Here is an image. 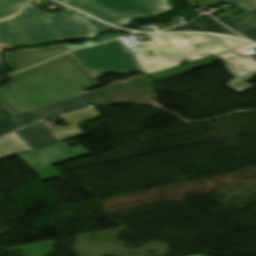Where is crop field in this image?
<instances>
[{"mask_svg":"<svg viewBox=\"0 0 256 256\" xmlns=\"http://www.w3.org/2000/svg\"><path fill=\"white\" fill-rule=\"evenodd\" d=\"M219 59L225 61L228 64V66L226 65L227 68L237 78L235 80L228 82L230 84L227 86H229L230 88L238 92H241L245 89L252 87V85L244 81L256 75V61L233 50H230L212 57L193 61V62L184 64L178 67H174L171 69H167L158 73H154L149 76L160 81L163 79L180 75L183 72L188 71L192 68L202 66Z\"/></svg>","mask_w":256,"mask_h":256,"instance_id":"obj_6","label":"crop field"},{"mask_svg":"<svg viewBox=\"0 0 256 256\" xmlns=\"http://www.w3.org/2000/svg\"><path fill=\"white\" fill-rule=\"evenodd\" d=\"M174 31H205V32L232 35V36L243 38L237 35L236 33L230 31L229 29L221 26L219 23H217L208 15H202L187 24H184L175 28H171L163 32H174Z\"/></svg>","mask_w":256,"mask_h":256,"instance_id":"obj_10","label":"crop field"},{"mask_svg":"<svg viewBox=\"0 0 256 256\" xmlns=\"http://www.w3.org/2000/svg\"><path fill=\"white\" fill-rule=\"evenodd\" d=\"M238 33L243 35L244 37L256 42V27L245 30V31H241V32H238Z\"/></svg>","mask_w":256,"mask_h":256,"instance_id":"obj_19","label":"crop field"},{"mask_svg":"<svg viewBox=\"0 0 256 256\" xmlns=\"http://www.w3.org/2000/svg\"><path fill=\"white\" fill-rule=\"evenodd\" d=\"M147 36L151 41L141 42L144 51L134 53L145 74L250 44L208 34H147ZM148 51L153 56L148 54Z\"/></svg>","mask_w":256,"mask_h":256,"instance_id":"obj_2","label":"crop field"},{"mask_svg":"<svg viewBox=\"0 0 256 256\" xmlns=\"http://www.w3.org/2000/svg\"><path fill=\"white\" fill-rule=\"evenodd\" d=\"M87 14L122 25L138 17H149L172 9L168 0H62Z\"/></svg>","mask_w":256,"mask_h":256,"instance_id":"obj_4","label":"crop field"},{"mask_svg":"<svg viewBox=\"0 0 256 256\" xmlns=\"http://www.w3.org/2000/svg\"><path fill=\"white\" fill-rule=\"evenodd\" d=\"M4 50H6V49H1V48H0V52H1V51H4Z\"/></svg>","mask_w":256,"mask_h":256,"instance_id":"obj_24","label":"crop field"},{"mask_svg":"<svg viewBox=\"0 0 256 256\" xmlns=\"http://www.w3.org/2000/svg\"><path fill=\"white\" fill-rule=\"evenodd\" d=\"M66 20L71 21V22H76V23L87 24V36H88V38H91L92 36L95 35V33L100 32V31L109 27L107 25L99 23L95 20H92V19L87 18L85 16H82L80 14H77L75 16L66 18Z\"/></svg>","mask_w":256,"mask_h":256,"instance_id":"obj_14","label":"crop field"},{"mask_svg":"<svg viewBox=\"0 0 256 256\" xmlns=\"http://www.w3.org/2000/svg\"><path fill=\"white\" fill-rule=\"evenodd\" d=\"M75 14V11L67 8L51 15L28 4L19 15L0 23V42L10 46H26L86 38V25L64 19Z\"/></svg>","mask_w":256,"mask_h":256,"instance_id":"obj_3","label":"crop field"},{"mask_svg":"<svg viewBox=\"0 0 256 256\" xmlns=\"http://www.w3.org/2000/svg\"><path fill=\"white\" fill-rule=\"evenodd\" d=\"M19 126V125H18ZM17 124L12 120L11 117L0 120V135H4L8 132H11L15 129H18L19 127Z\"/></svg>","mask_w":256,"mask_h":256,"instance_id":"obj_17","label":"crop field"},{"mask_svg":"<svg viewBox=\"0 0 256 256\" xmlns=\"http://www.w3.org/2000/svg\"><path fill=\"white\" fill-rule=\"evenodd\" d=\"M223 3L244 10L246 12L256 8V0H225Z\"/></svg>","mask_w":256,"mask_h":256,"instance_id":"obj_16","label":"crop field"},{"mask_svg":"<svg viewBox=\"0 0 256 256\" xmlns=\"http://www.w3.org/2000/svg\"><path fill=\"white\" fill-rule=\"evenodd\" d=\"M4 71H5V68H4V65H3V62H2V58H1V55H0V74L4 73Z\"/></svg>","mask_w":256,"mask_h":256,"instance_id":"obj_22","label":"crop field"},{"mask_svg":"<svg viewBox=\"0 0 256 256\" xmlns=\"http://www.w3.org/2000/svg\"><path fill=\"white\" fill-rule=\"evenodd\" d=\"M9 77L12 81L0 88V105L13 116L98 86L96 77L71 53Z\"/></svg>","mask_w":256,"mask_h":256,"instance_id":"obj_1","label":"crop field"},{"mask_svg":"<svg viewBox=\"0 0 256 256\" xmlns=\"http://www.w3.org/2000/svg\"><path fill=\"white\" fill-rule=\"evenodd\" d=\"M0 47L1 48H6V49H13V47H9V46H7L5 44H2V43H0Z\"/></svg>","mask_w":256,"mask_h":256,"instance_id":"obj_23","label":"crop field"},{"mask_svg":"<svg viewBox=\"0 0 256 256\" xmlns=\"http://www.w3.org/2000/svg\"><path fill=\"white\" fill-rule=\"evenodd\" d=\"M229 28L238 32L256 26V9L245 13L235 19L224 23Z\"/></svg>","mask_w":256,"mask_h":256,"instance_id":"obj_13","label":"crop field"},{"mask_svg":"<svg viewBox=\"0 0 256 256\" xmlns=\"http://www.w3.org/2000/svg\"><path fill=\"white\" fill-rule=\"evenodd\" d=\"M72 54L98 78L112 71L118 74L142 71L133 54L118 40Z\"/></svg>","mask_w":256,"mask_h":256,"instance_id":"obj_5","label":"crop field"},{"mask_svg":"<svg viewBox=\"0 0 256 256\" xmlns=\"http://www.w3.org/2000/svg\"><path fill=\"white\" fill-rule=\"evenodd\" d=\"M193 1H196L198 3H201L203 5L210 7L221 0H193Z\"/></svg>","mask_w":256,"mask_h":256,"instance_id":"obj_20","label":"crop field"},{"mask_svg":"<svg viewBox=\"0 0 256 256\" xmlns=\"http://www.w3.org/2000/svg\"><path fill=\"white\" fill-rule=\"evenodd\" d=\"M87 43H90L91 45L96 44V43L93 42V41H87V42L84 43V44H87ZM84 44H81V45H65V46H66L69 50H72V49H77V48L84 47Z\"/></svg>","mask_w":256,"mask_h":256,"instance_id":"obj_21","label":"crop field"},{"mask_svg":"<svg viewBox=\"0 0 256 256\" xmlns=\"http://www.w3.org/2000/svg\"><path fill=\"white\" fill-rule=\"evenodd\" d=\"M26 1L27 0H0V20L17 13Z\"/></svg>","mask_w":256,"mask_h":256,"instance_id":"obj_15","label":"crop field"},{"mask_svg":"<svg viewBox=\"0 0 256 256\" xmlns=\"http://www.w3.org/2000/svg\"><path fill=\"white\" fill-rule=\"evenodd\" d=\"M89 107L88 103L79 96L72 99H68L62 102L44 106L17 116L13 118L19 123L21 127H24L38 119L56 116L67 112L83 109ZM39 121V120H38Z\"/></svg>","mask_w":256,"mask_h":256,"instance_id":"obj_9","label":"crop field"},{"mask_svg":"<svg viewBox=\"0 0 256 256\" xmlns=\"http://www.w3.org/2000/svg\"><path fill=\"white\" fill-rule=\"evenodd\" d=\"M66 51L68 49L63 44H60L47 48H26L13 52H3V54L9 67L14 72Z\"/></svg>","mask_w":256,"mask_h":256,"instance_id":"obj_8","label":"crop field"},{"mask_svg":"<svg viewBox=\"0 0 256 256\" xmlns=\"http://www.w3.org/2000/svg\"><path fill=\"white\" fill-rule=\"evenodd\" d=\"M33 149L46 146L56 141L50 134L41 126L40 123H35L17 132Z\"/></svg>","mask_w":256,"mask_h":256,"instance_id":"obj_11","label":"crop field"},{"mask_svg":"<svg viewBox=\"0 0 256 256\" xmlns=\"http://www.w3.org/2000/svg\"><path fill=\"white\" fill-rule=\"evenodd\" d=\"M32 148L16 133L0 138V160Z\"/></svg>","mask_w":256,"mask_h":256,"instance_id":"obj_12","label":"crop field"},{"mask_svg":"<svg viewBox=\"0 0 256 256\" xmlns=\"http://www.w3.org/2000/svg\"><path fill=\"white\" fill-rule=\"evenodd\" d=\"M35 173L38 176H40L43 180L59 177L50 167L35 171Z\"/></svg>","mask_w":256,"mask_h":256,"instance_id":"obj_18","label":"crop field"},{"mask_svg":"<svg viewBox=\"0 0 256 256\" xmlns=\"http://www.w3.org/2000/svg\"><path fill=\"white\" fill-rule=\"evenodd\" d=\"M89 154L82 147H68L53 144L36 150L20 153L17 156L33 171Z\"/></svg>","mask_w":256,"mask_h":256,"instance_id":"obj_7","label":"crop field"}]
</instances>
